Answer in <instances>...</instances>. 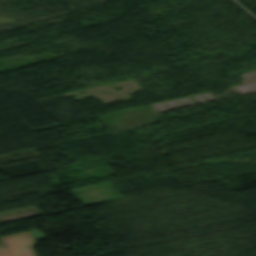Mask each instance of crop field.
<instances>
[{
    "label": "crop field",
    "instance_id": "8a807250",
    "mask_svg": "<svg viewBox=\"0 0 256 256\" xmlns=\"http://www.w3.org/2000/svg\"><path fill=\"white\" fill-rule=\"evenodd\" d=\"M3 238L7 246L0 247V256H33L30 247L34 241L28 231Z\"/></svg>",
    "mask_w": 256,
    "mask_h": 256
}]
</instances>
